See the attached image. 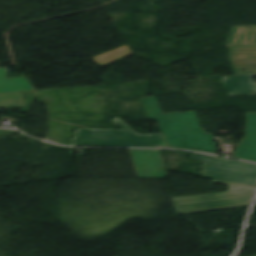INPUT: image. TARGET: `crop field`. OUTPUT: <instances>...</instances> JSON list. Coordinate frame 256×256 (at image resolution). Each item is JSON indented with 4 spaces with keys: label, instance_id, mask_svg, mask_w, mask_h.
Here are the masks:
<instances>
[{
    "label": "crop field",
    "instance_id": "2",
    "mask_svg": "<svg viewBox=\"0 0 256 256\" xmlns=\"http://www.w3.org/2000/svg\"><path fill=\"white\" fill-rule=\"evenodd\" d=\"M211 180L229 185V192L172 198L179 215L250 206L256 193L255 187Z\"/></svg>",
    "mask_w": 256,
    "mask_h": 256
},
{
    "label": "crop field",
    "instance_id": "5",
    "mask_svg": "<svg viewBox=\"0 0 256 256\" xmlns=\"http://www.w3.org/2000/svg\"><path fill=\"white\" fill-rule=\"evenodd\" d=\"M133 55L132 51L129 49L128 45L121 47L119 49L110 51L108 53L94 57L98 64L103 67L120 59H123L127 56ZM96 62V63H97Z\"/></svg>",
    "mask_w": 256,
    "mask_h": 256
},
{
    "label": "crop field",
    "instance_id": "3",
    "mask_svg": "<svg viewBox=\"0 0 256 256\" xmlns=\"http://www.w3.org/2000/svg\"><path fill=\"white\" fill-rule=\"evenodd\" d=\"M203 161L201 177L256 186V164L194 153Z\"/></svg>",
    "mask_w": 256,
    "mask_h": 256
},
{
    "label": "crop field",
    "instance_id": "4",
    "mask_svg": "<svg viewBox=\"0 0 256 256\" xmlns=\"http://www.w3.org/2000/svg\"><path fill=\"white\" fill-rule=\"evenodd\" d=\"M252 77L256 74L223 76L222 82L230 96L256 94V84ZM247 127L244 140L238 145L234 155L238 159L256 162V112H246Z\"/></svg>",
    "mask_w": 256,
    "mask_h": 256
},
{
    "label": "crop field",
    "instance_id": "6",
    "mask_svg": "<svg viewBox=\"0 0 256 256\" xmlns=\"http://www.w3.org/2000/svg\"><path fill=\"white\" fill-rule=\"evenodd\" d=\"M25 106L26 104L23 93L0 95V108H23Z\"/></svg>",
    "mask_w": 256,
    "mask_h": 256
},
{
    "label": "crop field",
    "instance_id": "1",
    "mask_svg": "<svg viewBox=\"0 0 256 256\" xmlns=\"http://www.w3.org/2000/svg\"><path fill=\"white\" fill-rule=\"evenodd\" d=\"M141 99L149 118L158 119L163 133L140 135L116 118L123 130L77 129L71 146L185 148L217 154L212 134L201 129L195 111L163 114L154 96Z\"/></svg>",
    "mask_w": 256,
    "mask_h": 256
}]
</instances>
